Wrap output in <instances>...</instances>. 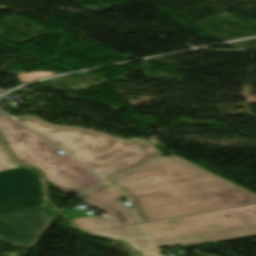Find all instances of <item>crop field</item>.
<instances>
[{
  "instance_id": "5",
  "label": "crop field",
  "mask_w": 256,
  "mask_h": 256,
  "mask_svg": "<svg viewBox=\"0 0 256 256\" xmlns=\"http://www.w3.org/2000/svg\"><path fill=\"white\" fill-rule=\"evenodd\" d=\"M78 197L84 200L85 203L96 206L110 214V218L104 220L96 216L84 218L78 213V210L63 212L83 232L139 223L134 212L120 200L124 195L108 184Z\"/></svg>"
},
{
  "instance_id": "8",
  "label": "crop field",
  "mask_w": 256,
  "mask_h": 256,
  "mask_svg": "<svg viewBox=\"0 0 256 256\" xmlns=\"http://www.w3.org/2000/svg\"><path fill=\"white\" fill-rule=\"evenodd\" d=\"M94 235L123 240L137 253L154 251L156 248L145 234L141 224L87 232Z\"/></svg>"
},
{
  "instance_id": "4",
  "label": "crop field",
  "mask_w": 256,
  "mask_h": 256,
  "mask_svg": "<svg viewBox=\"0 0 256 256\" xmlns=\"http://www.w3.org/2000/svg\"><path fill=\"white\" fill-rule=\"evenodd\" d=\"M0 133L18 160L40 168L47 181L64 192L80 194L105 183L47 140L0 112Z\"/></svg>"
},
{
  "instance_id": "3",
  "label": "crop field",
  "mask_w": 256,
  "mask_h": 256,
  "mask_svg": "<svg viewBox=\"0 0 256 256\" xmlns=\"http://www.w3.org/2000/svg\"><path fill=\"white\" fill-rule=\"evenodd\" d=\"M144 225L158 248L252 236L256 235V204L146 222Z\"/></svg>"
},
{
  "instance_id": "11",
  "label": "crop field",
  "mask_w": 256,
  "mask_h": 256,
  "mask_svg": "<svg viewBox=\"0 0 256 256\" xmlns=\"http://www.w3.org/2000/svg\"><path fill=\"white\" fill-rule=\"evenodd\" d=\"M139 255H141V256H161L158 251L148 252V253H141Z\"/></svg>"
},
{
  "instance_id": "6",
  "label": "crop field",
  "mask_w": 256,
  "mask_h": 256,
  "mask_svg": "<svg viewBox=\"0 0 256 256\" xmlns=\"http://www.w3.org/2000/svg\"><path fill=\"white\" fill-rule=\"evenodd\" d=\"M45 204L35 171L22 167L0 172V215Z\"/></svg>"
},
{
  "instance_id": "1",
  "label": "crop field",
  "mask_w": 256,
  "mask_h": 256,
  "mask_svg": "<svg viewBox=\"0 0 256 256\" xmlns=\"http://www.w3.org/2000/svg\"><path fill=\"white\" fill-rule=\"evenodd\" d=\"M142 222L256 203V195L175 155L161 156L110 182Z\"/></svg>"
},
{
  "instance_id": "10",
  "label": "crop field",
  "mask_w": 256,
  "mask_h": 256,
  "mask_svg": "<svg viewBox=\"0 0 256 256\" xmlns=\"http://www.w3.org/2000/svg\"><path fill=\"white\" fill-rule=\"evenodd\" d=\"M49 75H53V73L38 71V72H33L28 74H22V75H19V77L21 78L22 82H25V81L39 79Z\"/></svg>"
},
{
  "instance_id": "12",
  "label": "crop field",
  "mask_w": 256,
  "mask_h": 256,
  "mask_svg": "<svg viewBox=\"0 0 256 256\" xmlns=\"http://www.w3.org/2000/svg\"><path fill=\"white\" fill-rule=\"evenodd\" d=\"M2 89H0V91H1Z\"/></svg>"
},
{
  "instance_id": "2",
  "label": "crop field",
  "mask_w": 256,
  "mask_h": 256,
  "mask_svg": "<svg viewBox=\"0 0 256 256\" xmlns=\"http://www.w3.org/2000/svg\"><path fill=\"white\" fill-rule=\"evenodd\" d=\"M17 121L55 143L108 182L160 156L154 146L136 139L127 142L104 133L54 126L26 116Z\"/></svg>"
},
{
  "instance_id": "7",
  "label": "crop field",
  "mask_w": 256,
  "mask_h": 256,
  "mask_svg": "<svg viewBox=\"0 0 256 256\" xmlns=\"http://www.w3.org/2000/svg\"><path fill=\"white\" fill-rule=\"evenodd\" d=\"M57 217L48 205L0 216V239L13 245L35 246Z\"/></svg>"
},
{
  "instance_id": "9",
  "label": "crop field",
  "mask_w": 256,
  "mask_h": 256,
  "mask_svg": "<svg viewBox=\"0 0 256 256\" xmlns=\"http://www.w3.org/2000/svg\"><path fill=\"white\" fill-rule=\"evenodd\" d=\"M20 167L12 162L0 143V170Z\"/></svg>"
}]
</instances>
